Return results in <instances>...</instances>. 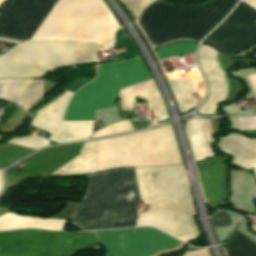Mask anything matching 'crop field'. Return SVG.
<instances>
[{"label":"crop field","instance_id":"crop-field-1","mask_svg":"<svg viewBox=\"0 0 256 256\" xmlns=\"http://www.w3.org/2000/svg\"><path fill=\"white\" fill-rule=\"evenodd\" d=\"M140 198L150 203L137 226H155L188 243L199 235L182 165L135 168ZM135 170L121 167L88 174V183L70 223L80 230L131 227L140 200Z\"/></svg>","mask_w":256,"mask_h":256},{"label":"crop field","instance_id":"crop-field-2","mask_svg":"<svg viewBox=\"0 0 256 256\" xmlns=\"http://www.w3.org/2000/svg\"><path fill=\"white\" fill-rule=\"evenodd\" d=\"M57 0H10L0 6V37L29 41ZM119 27L102 0H58L30 41L76 40L113 44Z\"/></svg>","mask_w":256,"mask_h":256},{"label":"crop field","instance_id":"crop-field-3","mask_svg":"<svg viewBox=\"0 0 256 256\" xmlns=\"http://www.w3.org/2000/svg\"><path fill=\"white\" fill-rule=\"evenodd\" d=\"M235 1L212 0L199 6L156 1L142 13L139 24L153 45L184 38L199 41Z\"/></svg>","mask_w":256,"mask_h":256},{"label":"crop field","instance_id":"crop-field-4","mask_svg":"<svg viewBox=\"0 0 256 256\" xmlns=\"http://www.w3.org/2000/svg\"><path fill=\"white\" fill-rule=\"evenodd\" d=\"M180 157L170 124L97 141V171L121 166L182 164Z\"/></svg>","mask_w":256,"mask_h":256},{"label":"crop field","instance_id":"crop-field-5","mask_svg":"<svg viewBox=\"0 0 256 256\" xmlns=\"http://www.w3.org/2000/svg\"><path fill=\"white\" fill-rule=\"evenodd\" d=\"M97 45L34 41L16 45L0 57V78H41L59 66L95 60Z\"/></svg>","mask_w":256,"mask_h":256},{"label":"crop field","instance_id":"crop-field-6","mask_svg":"<svg viewBox=\"0 0 256 256\" xmlns=\"http://www.w3.org/2000/svg\"><path fill=\"white\" fill-rule=\"evenodd\" d=\"M146 69L139 56L98 65L96 78L76 92L63 121L94 120V110L115 106L120 88L150 79Z\"/></svg>","mask_w":256,"mask_h":256},{"label":"crop field","instance_id":"crop-field-7","mask_svg":"<svg viewBox=\"0 0 256 256\" xmlns=\"http://www.w3.org/2000/svg\"><path fill=\"white\" fill-rule=\"evenodd\" d=\"M80 249H99L91 232L36 229L0 232V256H71Z\"/></svg>","mask_w":256,"mask_h":256},{"label":"crop field","instance_id":"crop-field-8","mask_svg":"<svg viewBox=\"0 0 256 256\" xmlns=\"http://www.w3.org/2000/svg\"><path fill=\"white\" fill-rule=\"evenodd\" d=\"M103 246L105 256H152L182 243L155 229L137 228L93 232Z\"/></svg>","mask_w":256,"mask_h":256},{"label":"crop field","instance_id":"crop-field-9","mask_svg":"<svg viewBox=\"0 0 256 256\" xmlns=\"http://www.w3.org/2000/svg\"><path fill=\"white\" fill-rule=\"evenodd\" d=\"M256 10L240 2L232 14L203 42L231 57L256 44Z\"/></svg>","mask_w":256,"mask_h":256},{"label":"crop field","instance_id":"crop-field-10","mask_svg":"<svg viewBox=\"0 0 256 256\" xmlns=\"http://www.w3.org/2000/svg\"><path fill=\"white\" fill-rule=\"evenodd\" d=\"M216 50L202 45L198 61L208 79L210 93L205 104L197 113L212 115L217 105L227 96V82L216 61Z\"/></svg>","mask_w":256,"mask_h":256},{"label":"crop field","instance_id":"crop-field-11","mask_svg":"<svg viewBox=\"0 0 256 256\" xmlns=\"http://www.w3.org/2000/svg\"><path fill=\"white\" fill-rule=\"evenodd\" d=\"M117 98L121 99L122 111L133 110L137 98L146 99L148 108L154 110V118L151 119V125L168 118L165 106L153 79L122 88Z\"/></svg>","mask_w":256,"mask_h":256},{"label":"crop field","instance_id":"crop-field-12","mask_svg":"<svg viewBox=\"0 0 256 256\" xmlns=\"http://www.w3.org/2000/svg\"><path fill=\"white\" fill-rule=\"evenodd\" d=\"M206 202L212 206L223 203L225 168L222 157L214 156L196 163Z\"/></svg>","mask_w":256,"mask_h":256},{"label":"crop field","instance_id":"crop-field-13","mask_svg":"<svg viewBox=\"0 0 256 256\" xmlns=\"http://www.w3.org/2000/svg\"><path fill=\"white\" fill-rule=\"evenodd\" d=\"M43 80H0V99L19 104L27 109L42 96Z\"/></svg>","mask_w":256,"mask_h":256},{"label":"crop field","instance_id":"crop-field-14","mask_svg":"<svg viewBox=\"0 0 256 256\" xmlns=\"http://www.w3.org/2000/svg\"><path fill=\"white\" fill-rule=\"evenodd\" d=\"M220 149L234 156L233 164L246 170L254 167L256 176V140H248L239 135L224 137L220 143Z\"/></svg>","mask_w":256,"mask_h":256},{"label":"crop field","instance_id":"crop-field-15","mask_svg":"<svg viewBox=\"0 0 256 256\" xmlns=\"http://www.w3.org/2000/svg\"><path fill=\"white\" fill-rule=\"evenodd\" d=\"M181 113L197 106L204 95L202 77L167 82Z\"/></svg>","mask_w":256,"mask_h":256},{"label":"crop field","instance_id":"crop-field-16","mask_svg":"<svg viewBox=\"0 0 256 256\" xmlns=\"http://www.w3.org/2000/svg\"><path fill=\"white\" fill-rule=\"evenodd\" d=\"M187 131L195 161L214 156L209 145L212 142V127L209 119H194L187 125Z\"/></svg>","mask_w":256,"mask_h":256},{"label":"crop field","instance_id":"crop-field-17","mask_svg":"<svg viewBox=\"0 0 256 256\" xmlns=\"http://www.w3.org/2000/svg\"><path fill=\"white\" fill-rule=\"evenodd\" d=\"M91 172H96V141L84 143L78 156L56 170L50 176Z\"/></svg>","mask_w":256,"mask_h":256},{"label":"crop field","instance_id":"crop-field-18","mask_svg":"<svg viewBox=\"0 0 256 256\" xmlns=\"http://www.w3.org/2000/svg\"><path fill=\"white\" fill-rule=\"evenodd\" d=\"M71 96L72 93L67 91L49 106L47 105L48 107L38 111L37 117L32 121V126L49 133L53 132L60 123Z\"/></svg>","mask_w":256,"mask_h":256},{"label":"crop field","instance_id":"crop-field-19","mask_svg":"<svg viewBox=\"0 0 256 256\" xmlns=\"http://www.w3.org/2000/svg\"><path fill=\"white\" fill-rule=\"evenodd\" d=\"M65 221L23 217L7 213L0 217V230H11L17 228H43L50 230H61Z\"/></svg>","mask_w":256,"mask_h":256},{"label":"crop field","instance_id":"crop-field-20","mask_svg":"<svg viewBox=\"0 0 256 256\" xmlns=\"http://www.w3.org/2000/svg\"><path fill=\"white\" fill-rule=\"evenodd\" d=\"M93 123L94 121L62 122L49 140L61 143L86 139L92 134Z\"/></svg>","mask_w":256,"mask_h":256},{"label":"crop field","instance_id":"crop-field-21","mask_svg":"<svg viewBox=\"0 0 256 256\" xmlns=\"http://www.w3.org/2000/svg\"><path fill=\"white\" fill-rule=\"evenodd\" d=\"M228 256H256V245L236 230L233 240L227 245Z\"/></svg>","mask_w":256,"mask_h":256},{"label":"crop field","instance_id":"crop-field-22","mask_svg":"<svg viewBox=\"0 0 256 256\" xmlns=\"http://www.w3.org/2000/svg\"><path fill=\"white\" fill-rule=\"evenodd\" d=\"M195 47H196V44H193V43L169 46V47L158 49L159 52L156 53V55L158 59L178 56V55L194 52Z\"/></svg>","mask_w":256,"mask_h":256},{"label":"crop field","instance_id":"crop-field-23","mask_svg":"<svg viewBox=\"0 0 256 256\" xmlns=\"http://www.w3.org/2000/svg\"><path fill=\"white\" fill-rule=\"evenodd\" d=\"M9 143L29 147L35 150H38L46 145H48L47 140L40 139L33 135H29L27 137H14L12 138Z\"/></svg>","mask_w":256,"mask_h":256},{"label":"crop field","instance_id":"crop-field-24","mask_svg":"<svg viewBox=\"0 0 256 256\" xmlns=\"http://www.w3.org/2000/svg\"><path fill=\"white\" fill-rule=\"evenodd\" d=\"M132 130L133 128L130 125L129 121H122L98 130L97 132H95V134L91 138L112 135V134H117L121 132L132 131Z\"/></svg>","mask_w":256,"mask_h":256},{"label":"crop field","instance_id":"crop-field-25","mask_svg":"<svg viewBox=\"0 0 256 256\" xmlns=\"http://www.w3.org/2000/svg\"><path fill=\"white\" fill-rule=\"evenodd\" d=\"M209 217L214 228L232 225L228 214L221 210H216Z\"/></svg>","mask_w":256,"mask_h":256},{"label":"crop field","instance_id":"crop-field-26","mask_svg":"<svg viewBox=\"0 0 256 256\" xmlns=\"http://www.w3.org/2000/svg\"><path fill=\"white\" fill-rule=\"evenodd\" d=\"M124 1L133 10V12L136 14L138 18L142 10L150 3L154 2L155 0H124Z\"/></svg>","mask_w":256,"mask_h":256},{"label":"crop field","instance_id":"crop-field-27","mask_svg":"<svg viewBox=\"0 0 256 256\" xmlns=\"http://www.w3.org/2000/svg\"><path fill=\"white\" fill-rule=\"evenodd\" d=\"M256 129V116L238 117V130Z\"/></svg>","mask_w":256,"mask_h":256},{"label":"crop field","instance_id":"crop-field-28","mask_svg":"<svg viewBox=\"0 0 256 256\" xmlns=\"http://www.w3.org/2000/svg\"><path fill=\"white\" fill-rule=\"evenodd\" d=\"M254 93L256 94V73L246 76Z\"/></svg>","mask_w":256,"mask_h":256},{"label":"crop field","instance_id":"crop-field-29","mask_svg":"<svg viewBox=\"0 0 256 256\" xmlns=\"http://www.w3.org/2000/svg\"><path fill=\"white\" fill-rule=\"evenodd\" d=\"M184 256H208V255H207L205 249H203V250L187 253Z\"/></svg>","mask_w":256,"mask_h":256},{"label":"crop field","instance_id":"crop-field-30","mask_svg":"<svg viewBox=\"0 0 256 256\" xmlns=\"http://www.w3.org/2000/svg\"><path fill=\"white\" fill-rule=\"evenodd\" d=\"M0 40H2V41H7V42H12V43H19V42H17V41H12V40L3 39V38H0Z\"/></svg>","mask_w":256,"mask_h":256},{"label":"crop field","instance_id":"crop-field-31","mask_svg":"<svg viewBox=\"0 0 256 256\" xmlns=\"http://www.w3.org/2000/svg\"><path fill=\"white\" fill-rule=\"evenodd\" d=\"M3 0H0V3L2 2Z\"/></svg>","mask_w":256,"mask_h":256}]
</instances>
